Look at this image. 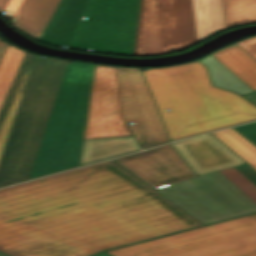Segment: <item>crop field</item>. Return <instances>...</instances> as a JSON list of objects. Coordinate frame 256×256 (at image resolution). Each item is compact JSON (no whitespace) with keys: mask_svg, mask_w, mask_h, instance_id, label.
Segmentation results:
<instances>
[{"mask_svg":"<svg viewBox=\"0 0 256 256\" xmlns=\"http://www.w3.org/2000/svg\"><path fill=\"white\" fill-rule=\"evenodd\" d=\"M247 99L256 104V92L244 95Z\"/></svg>","mask_w":256,"mask_h":256,"instance_id":"obj_29","label":"crop field"},{"mask_svg":"<svg viewBox=\"0 0 256 256\" xmlns=\"http://www.w3.org/2000/svg\"><path fill=\"white\" fill-rule=\"evenodd\" d=\"M236 44L256 60V36L236 42Z\"/></svg>","mask_w":256,"mask_h":256,"instance_id":"obj_26","label":"crop field"},{"mask_svg":"<svg viewBox=\"0 0 256 256\" xmlns=\"http://www.w3.org/2000/svg\"><path fill=\"white\" fill-rule=\"evenodd\" d=\"M201 61L209 67L215 86L234 90L242 95L253 92L252 89L210 55L201 59Z\"/></svg>","mask_w":256,"mask_h":256,"instance_id":"obj_21","label":"crop field"},{"mask_svg":"<svg viewBox=\"0 0 256 256\" xmlns=\"http://www.w3.org/2000/svg\"><path fill=\"white\" fill-rule=\"evenodd\" d=\"M222 5L226 28L256 22V0H222Z\"/></svg>","mask_w":256,"mask_h":256,"instance_id":"obj_20","label":"crop field"},{"mask_svg":"<svg viewBox=\"0 0 256 256\" xmlns=\"http://www.w3.org/2000/svg\"><path fill=\"white\" fill-rule=\"evenodd\" d=\"M197 42L191 0H142L134 55L161 54Z\"/></svg>","mask_w":256,"mask_h":256,"instance_id":"obj_8","label":"crop field"},{"mask_svg":"<svg viewBox=\"0 0 256 256\" xmlns=\"http://www.w3.org/2000/svg\"><path fill=\"white\" fill-rule=\"evenodd\" d=\"M8 0H0V14L3 11L5 5L7 4Z\"/></svg>","mask_w":256,"mask_h":256,"instance_id":"obj_30","label":"crop field"},{"mask_svg":"<svg viewBox=\"0 0 256 256\" xmlns=\"http://www.w3.org/2000/svg\"><path fill=\"white\" fill-rule=\"evenodd\" d=\"M207 131L256 119V106L211 86L201 62L162 68Z\"/></svg>","mask_w":256,"mask_h":256,"instance_id":"obj_5","label":"crop field"},{"mask_svg":"<svg viewBox=\"0 0 256 256\" xmlns=\"http://www.w3.org/2000/svg\"><path fill=\"white\" fill-rule=\"evenodd\" d=\"M117 74L123 118L141 147L168 142L140 69L117 67Z\"/></svg>","mask_w":256,"mask_h":256,"instance_id":"obj_10","label":"crop field"},{"mask_svg":"<svg viewBox=\"0 0 256 256\" xmlns=\"http://www.w3.org/2000/svg\"><path fill=\"white\" fill-rule=\"evenodd\" d=\"M155 189L205 224L256 211V203L218 171Z\"/></svg>","mask_w":256,"mask_h":256,"instance_id":"obj_6","label":"crop field"},{"mask_svg":"<svg viewBox=\"0 0 256 256\" xmlns=\"http://www.w3.org/2000/svg\"><path fill=\"white\" fill-rule=\"evenodd\" d=\"M93 205L153 237L202 225L152 189Z\"/></svg>","mask_w":256,"mask_h":256,"instance_id":"obj_9","label":"crop field"},{"mask_svg":"<svg viewBox=\"0 0 256 256\" xmlns=\"http://www.w3.org/2000/svg\"><path fill=\"white\" fill-rule=\"evenodd\" d=\"M140 148L134 136L83 140L79 166Z\"/></svg>","mask_w":256,"mask_h":256,"instance_id":"obj_17","label":"crop field"},{"mask_svg":"<svg viewBox=\"0 0 256 256\" xmlns=\"http://www.w3.org/2000/svg\"><path fill=\"white\" fill-rule=\"evenodd\" d=\"M67 62L25 53L0 111V186L28 178Z\"/></svg>","mask_w":256,"mask_h":256,"instance_id":"obj_2","label":"crop field"},{"mask_svg":"<svg viewBox=\"0 0 256 256\" xmlns=\"http://www.w3.org/2000/svg\"><path fill=\"white\" fill-rule=\"evenodd\" d=\"M226 178L256 202V186L233 167L219 170Z\"/></svg>","mask_w":256,"mask_h":256,"instance_id":"obj_24","label":"crop field"},{"mask_svg":"<svg viewBox=\"0 0 256 256\" xmlns=\"http://www.w3.org/2000/svg\"><path fill=\"white\" fill-rule=\"evenodd\" d=\"M211 55L256 91V61L239 46L234 43Z\"/></svg>","mask_w":256,"mask_h":256,"instance_id":"obj_18","label":"crop field"},{"mask_svg":"<svg viewBox=\"0 0 256 256\" xmlns=\"http://www.w3.org/2000/svg\"><path fill=\"white\" fill-rule=\"evenodd\" d=\"M114 160L153 188L196 176L172 144Z\"/></svg>","mask_w":256,"mask_h":256,"instance_id":"obj_13","label":"crop field"},{"mask_svg":"<svg viewBox=\"0 0 256 256\" xmlns=\"http://www.w3.org/2000/svg\"><path fill=\"white\" fill-rule=\"evenodd\" d=\"M198 40L225 28L221 0H192Z\"/></svg>","mask_w":256,"mask_h":256,"instance_id":"obj_19","label":"crop field"},{"mask_svg":"<svg viewBox=\"0 0 256 256\" xmlns=\"http://www.w3.org/2000/svg\"><path fill=\"white\" fill-rule=\"evenodd\" d=\"M216 137L230 146L256 170V147L232 128L213 132Z\"/></svg>","mask_w":256,"mask_h":256,"instance_id":"obj_23","label":"crop field"},{"mask_svg":"<svg viewBox=\"0 0 256 256\" xmlns=\"http://www.w3.org/2000/svg\"><path fill=\"white\" fill-rule=\"evenodd\" d=\"M127 135L132 133L122 118L116 67L96 65L83 139Z\"/></svg>","mask_w":256,"mask_h":256,"instance_id":"obj_11","label":"crop field"},{"mask_svg":"<svg viewBox=\"0 0 256 256\" xmlns=\"http://www.w3.org/2000/svg\"><path fill=\"white\" fill-rule=\"evenodd\" d=\"M146 189L111 160L0 189V250L88 256L151 238L91 205Z\"/></svg>","mask_w":256,"mask_h":256,"instance_id":"obj_1","label":"crop field"},{"mask_svg":"<svg viewBox=\"0 0 256 256\" xmlns=\"http://www.w3.org/2000/svg\"><path fill=\"white\" fill-rule=\"evenodd\" d=\"M0 256H11V255H8V254L0 251Z\"/></svg>","mask_w":256,"mask_h":256,"instance_id":"obj_31","label":"crop field"},{"mask_svg":"<svg viewBox=\"0 0 256 256\" xmlns=\"http://www.w3.org/2000/svg\"><path fill=\"white\" fill-rule=\"evenodd\" d=\"M105 253L113 256H256V214Z\"/></svg>","mask_w":256,"mask_h":256,"instance_id":"obj_4","label":"crop field"},{"mask_svg":"<svg viewBox=\"0 0 256 256\" xmlns=\"http://www.w3.org/2000/svg\"><path fill=\"white\" fill-rule=\"evenodd\" d=\"M233 129L256 146V122L234 127Z\"/></svg>","mask_w":256,"mask_h":256,"instance_id":"obj_25","label":"crop field"},{"mask_svg":"<svg viewBox=\"0 0 256 256\" xmlns=\"http://www.w3.org/2000/svg\"><path fill=\"white\" fill-rule=\"evenodd\" d=\"M143 72L171 140L206 132L161 68Z\"/></svg>","mask_w":256,"mask_h":256,"instance_id":"obj_12","label":"crop field"},{"mask_svg":"<svg viewBox=\"0 0 256 256\" xmlns=\"http://www.w3.org/2000/svg\"><path fill=\"white\" fill-rule=\"evenodd\" d=\"M234 168H236L240 173H242L246 178L256 185V171L247 163L234 166Z\"/></svg>","mask_w":256,"mask_h":256,"instance_id":"obj_27","label":"crop field"},{"mask_svg":"<svg viewBox=\"0 0 256 256\" xmlns=\"http://www.w3.org/2000/svg\"><path fill=\"white\" fill-rule=\"evenodd\" d=\"M88 0H61L39 41L68 48Z\"/></svg>","mask_w":256,"mask_h":256,"instance_id":"obj_16","label":"crop field"},{"mask_svg":"<svg viewBox=\"0 0 256 256\" xmlns=\"http://www.w3.org/2000/svg\"><path fill=\"white\" fill-rule=\"evenodd\" d=\"M24 53V51L8 45L2 58L0 63V108Z\"/></svg>","mask_w":256,"mask_h":256,"instance_id":"obj_22","label":"crop field"},{"mask_svg":"<svg viewBox=\"0 0 256 256\" xmlns=\"http://www.w3.org/2000/svg\"><path fill=\"white\" fill-rule=\"evenodd\" d=\"M97 256H110V255H107V254H105V253H102V254H99V255H97Z\"/></svg>","mask_w":256,"mask_h":256,"instance_id":"obj_32","label":"crop field"},{"mask_svg":"<svg viewBox=\"0 0 256 256\" xmlns=\"http://www.w3.org/2000/svg\"><path fill=\"white\" fill-rule=\"evenodd\" d=\"M60 0H9L4 11L15 27L38 40Z\"/></svg>","mask_w":256,"mask_h":256,"instance_id":"obj_15","label":"crop field"},{"mask_svg":"<svg viewBox=\"0 0 256 256\" xmlns=\"http://www.w3.org/2000/svg\"><path fill=\"white\" fill-rule=\"evenodd\" d=\"M94 66L67 64L29 178L78 166Z\"/></svg>","mask_w":256,"mask_h":256,"instance_id":"obj_3","label":"crop field"},{"mask_svg":"<svg viewBox=\"0 0 256 256\" xmlns=\"http://www.w3.org/2000/svg\"><path fill=\"white\" fill-rule=\"evenodd\" d=\"M194 138L172 144L197 175L245 163L210 134Z\"/></svg>","mask_w":256,"mask_h":256,"instance_id":"obj_14","label":"crop field"},{"mask_svg":"<svg viewBox=\"0 0 256 256\" xmlns=\"http://www.w3.org/2000/svg\"><path fill=\"white\" fill-rule=\"evenodd\" d=\"M139 0H90L72 46L132 55Z\"/></svg>","mask_w":256,"mask_h":256,"instance_id":"obj_7","label":"crop field"},{"mask_svg":"<svg viewBox=\"0 0 256 256\" xmlns=\"http://www.w3.org/2000/svg\"><path fill=\"white\" fill-rule=\"evenodd\" d=\"M1 40L2 39L0 38V61H1V58H2V56H3L4 52H5V49H6L7 45H8V42H6V41L2 42Z\"/></svg>","mask_w":256,"mask_h":256,"instance_id":"obj_28","label":"crop field"}]
</instances>
